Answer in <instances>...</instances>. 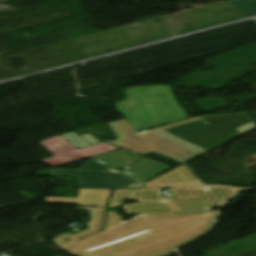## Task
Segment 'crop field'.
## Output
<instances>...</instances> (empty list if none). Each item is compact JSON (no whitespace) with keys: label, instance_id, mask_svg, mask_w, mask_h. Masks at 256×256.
<instances>
[{"label":"crop field","instance_id":"crop-field-8","mask_svg":"<svg viewBox=\"0 0 256 256\" xmlns=\"http://www.w3.org/2000/svg\"><path fill=\"white\" fill-rule=\"evenodd\" d=\"M254 21L256 22V19H254Z\"/></svg>","mask_w":256,"mask_h":256},{"label":"crop field","instance_id":"crop-field-4","mask_svg":"<svg viewBox=\"0 0 256 256\" xmlns=\"http://www.w3.org/2000/svg\"><path fill=\"white\" fill-rule=\"evenodd\" d=\"M141 157H143L142 161L139 160ZM92 159L114 169L130 166L131 168L124 173L143 181L155 177L172 168L168 165L123 149L93 157ZM134 162L137 163L133 164Z\"/></svg>","mask_w":256,"mask_h":256},{"label":"crop field","instance_id":"crop-field-7","mask_svg":"<svg viewBox=\"0 0 256 256\" xmlns=\"http://www.w3.org/2000/svg\"><path fill=\"white\" fill-rule=\"evenodd\" d=\"M196 222H197V223L201 226V228L206 232V231L209 229V227H210L212 221H196Z\"/></svg>","mask_w":256,"mask_h":256},{"label":"crop field","instance_id":"crop-field-6","mask_svg":"<svg viewBox=\"0 0 256 256\" xmlns=\"http://www.w3.org/2000/svg\"><path fill=\"white\" fill-rule=\"evenodd\" d=\"M230 3L246 18L256 16V0H235Z\"/></svg>","mask_w":256,"mask_h":256},{"label":"crop field","instance_id":"crop-field-3","mask_svg":"<svg viewBox=\"0 0 256 256\" xmlns=\"http://www.w3.org/2000/svg\"><path fill=\"white\" fill-rule=\"evenodd\" d=\"M50 176H78V187L139 189L144 183L92 159L78 170L51 169Z\"/></svg>","mask_w":256,"mask_h":256},{"label":"crop field","instance_id":"crop-field-1","mask_svg":"<svg viewBox=\"0 0 256 256\" xmlns=\"http://www.w3.org/2000/svg\"><path fill=\"white\" fill-rule=\"evenodd\" d=\"M79 210L89 211V229L54 238L56 246L77 256H160L205 233L194 220H213L216 214L137 216L124 222L116 214L119 211H110L103 232L76 242L102 229L105 208L79 207Z\"/></svg>","mask_w":256,"mask_h":256},{"label":"crop field","instance_id":"crop-field-2","mask_svg":"<svg viewBox=\"0 0 256 256\" xmlns=\"http://www.w3.org/2000/svg\"><path fill=\"white\" fill-rule=\"evenodd\" d=\"M126 99L114 107L136 132L188 118L169 85L133 87Z\"/></svg>","mask_w":256,"mask_h":256},{"label":"crop field","instance_id":"crop-field-5","mask_svg":"<svg viewBox=\"0 0 256 256\" xmlns=\"http://www.w3.org/2000/svg\"><path fill=\"white\" fill-rule=\"evenodd\" d=\"M39 144H41L45 149H47L51 154L55 156L52 158H47L41 162L49 164L54 167L74 162L80 159H84L90 156L98 155L102 152L118 148L104 143L101 145L92 146L76 151L74 150L76 148L71 146L72 144L70 145L60 136L44 140L42 142H39Z\"/></svg>","mask_w":256,"mask_h":256}]
</instances>
